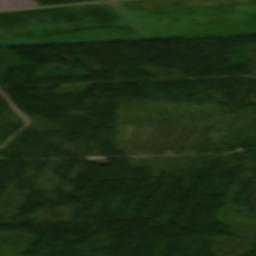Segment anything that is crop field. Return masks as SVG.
<instances>
[{
	"label": "crop field",
	"instance_id": "crop-field-1",
	"mask_svg": "<svg viewBox=\"0 0 256 256\" xmlns=\"http://www.w3.org/2000/svg\"><path fill=\"white\" fill-rule=\"evenodd\" d=\"M148 40L256 36V0L111 2ZM105 3L0 12V47L144 39Z\"/></svg>",
	"mask_w": 256,
	"mask_h": 256
}]
</instances>
